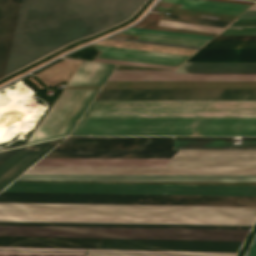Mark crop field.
Segmentation results:
<instances>
[{
  "label": "crop field",
  "instance_id": "8a807250",
  "mask_svg": "<svg viewBox=\"0 0 256 256\" xmlns=\"http://www.w3.org/2000/svg\"><path fill=\"white\" fill-rule=\"evenodd\" d=\"M95 100H256V90H101ZM251 135L256 101H93L71 135Z\"/></svg>",
  "mask_w": 256,
  "mask_h": 256
},
{
  "label": "crop field",
  "instance_id": "ac0d7876",
  "mask_svg": "<svg viewBox=\"0 0 256 256\" xmlns=\"http://www.w3.org/2000/svg\"><path fill=\"white\" fill-rule=\"evenodd\" d=\"M3 191L256 196V186L13 182ZM1 192L0 202L256 206V197ZM0 203L3 213L256 217V207Z\"/></svg>",
  "mask_w": 256,
  "mask_h": 256
},
{
  "label": "crop field",
  "instance_id": "34b2d1b8",
  "mask_svg": "<svg viewBox=\"0 0 256 256\" xmlns=\"http://www.w3.org/2000/svg\"><path fill=\"white\" fill-rule=\"evenodd\" d=\"M145 0H0V78L128 19ZM143 5V4H142Z\"/></svg>",
  "mask_w": 256,
  "mask_h": 256
},
{
  "label": "crop field",
  "instance_id": "412701ff",
  "mask_svg": "<svg viewBox=\"0 0 256 256\" xmlns=\"http://www.w3.org/2000/svg\"><path fill=\"white\" fill-rule=\"evenodd\" d=\"M175 73H256V62H185ZM108 80L256 81V74H174V70H115Z\"/></svg>",
  "mask_w": 256,
  "mask_h": 256
},
{
  "label": "crop field",
  "instance_id": "f4fd0767",
  "mask_svg": "<svg viewBox=\"0 0 256 256\" xmlns=\"http://www.w3.org/2000/svg\"><path fill=\"white\" fill-rule=\"evenodd\" d=\"M99 90H63L27 144L67 136Z\"/></svg>",
  "mask_w": 256,
  "mask_h": 256
},
{
  "label": "crop field",
  "instance_id": "dd49c442",
  "mask_svg": "<svg viewBox=\"0 0 256 256\" xmlns=\"http://www.w3.org/2000/svg\"><path fill=\"white\" fill-rule=\"evenodd\" d=\"M256 218L1 214L0 221L253 225Z\"/></svg>",
  "mask_w": 256,
  "mask_h": 256
},
{
  "label": "crop field",
  "instance_id": "e52e79f7",
  "mask_svg": "<svg viewBox=\"0 0 256 256\" xmlns=\"http://www.w3.org/2000/svg\"><path fill=\"white\" fill-rule=\"evenodd\" d=\"M24 174L256 175V168L32 167Z\"/></svg>",
  "mask_w": 256,
  "mask_h": 256
},
{
  "label": "crop field",
  "instance_id": "d8731c3e",
  "mask_svg": "<svg viewBox=\"0 0 256 256\" xmlns=\"http://www.w3.org/2000/svg\"><path fill=\"white\" fill-rule=\"evenodd\" d=\"M0 235L145 239V228L0 226Z\"/></svg>",
  "mask_w": 256,
  "mask_h": 256
},
{
  "label": "crop field",
  "instance_id": "5a996713",
  "mask_svg": "<svg viewBox=\"0 0 256 256\" xmlns=\"http://www.w3.org/2000/svg\"><path fill=\"white\" fill-rule=\"evenodd\" d=\"M242 242L101 239V249L237 253Z\"/></svg>",
  "mask_w": 256,
  "mask_h": 256
},
{
  "label": "crop field",
  "instance_id": "3316defc",
  "mask_svg": "<svg viewBox=\"0 0 256 256\" xmlns=\"http://www.w3.org/2000/svg\"><path fill=\"white\" fill-rule=\"evenodd\" d=\"M15 181L256 182V176L22 175Z\"/></svg>",
  "mask_w": 256,
  "mask_h": 256
},
{
  "label": "crop field",
  "instance_id": "28ad6ade",
  "mask_svg": "<svg viewBox=\"0 0 256 256\" xmlns=\"http://www.w3.org/2000/svg\"><path fill=\"white\" fill-rule=\"evenodd\" d=\"M164 166L256 167V151L179 150Z\"/></svg>",
  "mask_w": 256,
  "mask_h": 256
},
{
  "label": "crop field",
  "instance_id": "d1516ede",
  "mask_svg": "<svg viewBox=\"0 0 256 256\" xmlns=\"http://www.w3.org/2000/svg\"><path fill=\"white\" fill-rule=\"evenodd\" d=\"M54 149H174V137H68Z\"/></svg>",
  "mask_w": 256,
  "mask_h": 256
},
{
  "label": "crop field",
  "instance_id": "22f410ed",
  "mask_svg": "<svg viewBox=\"0 0 256 256\" xmlns=\"http://www.w3.org/2000/svg\"><path fill=\"white\" fill-rule=\"evenodd\" d=\"M249 230L146 228V239L244 241Z\"/></svg>",
  "mask_w": 256,
  "mask_h": 256
},
{
  "label": "crop field",
  "instance_id": "cbeb9de0",
  "mask_svg": "<svg viewBox=\"0 0 256 256\" xmlns=\"http://www.w3.org/2000/svg\"><path fill=\"white\" fill-rule=\"evenodd\" d=\"M64 139V138H62ZM62 139L23 147L0 166V191Z\"/></svg>",
  "mask_w": 256,
  "mask_h": 256
},
{
  "label": "crop field",
  "instance_id": "5142ce71",
  "mask_svg": "<svg viewBox=\"0 0 256 256\" xmlns=\"http://www.w3.org/2000/svg\"><path fill=\"white\" fill-rule=\"evenodd\" d=\"M178 150H52L44 158H171Z\"/></svg>",
  "mask_w": 256,
  "mask_h": 256
},
{
  "label": "crop field",
  "instance_id": "d9b57169",
  "mask_svg": "<svg viewBox=\"0 0 256 256\" xmlns=\"http://www.w3.org/2000/svg\"><path fill=\"white\" fill-rule=\"evenodd\" d=\"M0 246L100 249V239L0 236Z\"/></svg>",
  "mask_w": 256,
  "mask_h": 256
},
{
  "label": "crop field",
  "instance_id": "733c2abd",
  "mask_svg": "<svg viewBox=\"0 0 256 256\" xmlns=\"http://www.w3.org/2000/svg\"><path fill=\"white\" fill-rule=\"evenodd\" d=\"M175 149L256 150V138H242V145H233L232 137H175Z\"/></svg>",
  "mask_w": 256,
  "mask_h": 256
},
{
  "label": "crop field",
  "instance_id": "4a817a6b",
  "mask_svg": "<svg viewBox=\"0 0 256 256\" xmlns=\"http://www.w3.org/2000/svg\"><path fill=\"white\" fill-rule=\"evenodd\" d=\"M168 159H42L34 166H163Z\"/></svg>",
  "mask_w": 256,
  "mask_h": 256
},
{
  "label": "crop field",
  "instance_id": "bc2a9ffb",
  "mask_svg": "<svg viewBox=\"0 0 256 256\" xmlns=\"http://www.w3.org/2000/svg\"><path fill=\"white\" fill-rule=\"evenodd\" d=\"M187 61H256V48H201Z\"/></svg>",
  "mask_w": 256,
  "mask_h": 256
},
{
  "label": "crop field",
  "instance_id": "214f88e0",
  "mask_svg": "<svg viewBox=\"0 0 256 256\" xmlns=\"http://www.w3.org/2000/svg\"><path fill=\"white\" fill-rule=\"evenodd\" d=\"M115 67L83 61L67 85H103Z\"/></svg>",
  "mask_w": 256,
  "mask_h": 256
},
{
  "label": "crop field",
  "instance_id": "92a150f3",
  "mask_svg": "<svg viewBox=\"0 0 256 256\" xmlns=\"http://www.w3.org/2000/svg\"><path fill=\"white\" fill-rule=\"evenodd\" d=\"M95 45L103 51V52H101L103 54L141 58V59L178 63V64H182L184 61H186L189 58L187 56L149 52V51L112 47V46H105V45H97V44H95Z\"/></svg>",
  "mask_w": 256,
  "mask_h": 256
},
{
  "label": "crop field",
  "instance_id": "dafd665d",
  "mask_svg": "<svg viewBox=\"0 0 256 256\" xmlns=\"http://www.w3.org/2000/svg\"><path fill=\"white\" fill-rule=\"evenodd\" d=\"M0 249H34V250H68V251H84V249H61V248H25V247H0ZM34 250H0V251H32V252H66V253H83L85 252H68V251H34ZM87 251H101V252H131V253H161V254H191V255H221V256H235L236 254H219V253H185V252H151V251H117V250H91ZM32 252H0V253H31V254H66V253H32ZM66 255H82V254H66ZM86 255H104V256H160V255H131V254H101V253H87ZM190 255V256H191Z\"/></svg>",
  "mask_w": 256,
  "mask_h": 256
},
{
  "label": "crop field",
  "instance_id": "00972430",
  "mask_svg": "<svg viewBox=\"0 0 256 256\" xmlns=\"http://www.w3.org/2000/svg\"><path fill=\"white\" fill-rule=\"evenodd\" d=\"M161 20L174 21V22H183V23H193V24H202V25H211V26H220V27H225L229 24L228 22L212 21V20L189 18V17L166 15V14L162 15ZM165 21H160L159 26L171 27V28H180V29H189V30H197V31H206V32H214V33H219L223 29V28H220V27L192 25V24L165 22Z\"/></svg>",
  "mask_w": 256,
  "mask_h": 256
},
{
  "label": "crop field",
  "instance_id": "a9b5d70f",
  "mask_svg": "<svg viewBox=\"0 0 256 256\" xmlns=\"http://www.w3.org/2000/svg\"><path fill=\"white\" fill-rule=\"evenodd\" d=\"M161 1L183 4L181 8H184V9L210 11V12L227 13V14H235V15H240L250 7L247 5L212 2V1H204V0H161Z\"/></svg>",
  "mask_w": 256,
  "mask_h": 256
},
{
  "label": "crop field",
  "instance_id": "4177f3b9",
  "mask_svg": "<svg viewBox=\"0 0 256 256\" xmlns=\"http://www.w3.org/2000/svg\"><path fill=\"white\" fill-rule=\"evenodd\" d=\"M0 225L172 227V228H224V229H250V228H251V226H216V225L79 224V223H7V222H0Z\"/></svg>",
  "mask_w": 256,
  "mask_h": 256
},
{
  "label": "crop field",
  "instance_id": "730fd06b",
  "mask_svg": "<svg viewBox=\"0 0 256 256\" xmlns=\"http://www.w3.org/2000/svg\"><path fill=\"white\" fill-rule=\"evenodd\" d=\"M122 33H129V34L139 35V37H138L139 39L162 41V42H171V43H180V44H188V45H197V46H202L206 42H208L206 40L190 39V38L167 36V35L152 34V33L137 32V31H129V30H124V31H122Z\"/></svg>",
  "mask_w": 256,
  "mask_h": 256
},
{
  "label": "crop field",
  "instance_id": "eef30255",
  "mask_svg": "<svg viewBox=\"0 0 256 256\" xmlns=\"http://www.w3.org/2000/svg\"><path fill=\"white\" fill-rule=\"evenodd\" d=\"M219 35H256V19H236Z\"/></svg>",
  "mask_w": 256,
  "mask_h": 256
},
{
  "label": "crop field",
  "instance_id": "ae1a2a85",
  "mask_svg": "<svg viewBox=\"0 0 256 256\" xmlns=\"http://www.w3.org/2000/svg\"><path fill=\"white\" fill-rule=\"evenodd\" d=\"M204 47H256V41H210Z\"/></svg>",
  "mask_w": 256,
  "mask_h": 256
},
{
  "label": "crop field",
  "instance_id": "d3111659",
  "mask_svg": "<svg viewBox=\"0 0 256 256\" xmlns=\"http://www.w3.org/2000/svg\"><path fill=\"white\" fill-rule=\"evenodd\" d=\"M129 30L145 31V32L168 34V35L183 36V37L198 38V39H206V40H210L212 38V37H209V36L169 32V31H161V30H153V29H145V28H137V27H132Z\"/></svg>",
  "mask_w": 256,
  "mask_h": 256
},
{
  "label": "crop field",
  "instance_id": "750c4746",
  "mask_svg": "<svg viewBox=\"0 0 256 256\" xmlns=\"http://www.w3.org/2000/svg\"><path fill=\"white\" fill-rule=\"evenodd\" d=\"M96 61L109 62V63H119V64H128V65H138V66H147V67H157V68H167V69H176L177 68V67H174V66H165V65H156V64H147V63H138V62H129V61L102 59V58H97Z\"/></svg>",
  "mask_w": 256,
  "mask_h": 256
},
{
  "label": "crop field",
  "instance_id": "bd1437ed",
  "mask_svg": "<svg viewBox=\"0 0 256 256\" xmlns=\"http://www.w3.org/2000/svg\"><path fill=\"white\" fill-rule=\"evenodd\" d=\"M99 57H103V58H114V59H124V60H132V61H141V62H149V63H157V64H166V65L179 66L178 64H170V63H163V62H155V61H148V60H140V59L126 58V57H118V56H111V55H103V54H100Z\"/></svg>",
  "mask_w": 256,
  "mask_h": 256
},
{
  "label": "crop field",
  "instance_id": "1d83c4d3",
  "mask_svg": "<svg viewBox=\"0 0 256 256\" xmlns=\"http://www.w3.org/2000/svg\"><path fill=\"white\" fill-rule=\"evenodd\" d=\"M213 40H256V36H217Z\"/></svg>",
  "mask_w": 256,
  "mask_h": 256
},
{
  "label": "crop field",
  "instance_id": "120bbe31",
  "mask_svg": "<svg viewBox=\"0 0 256 256\" xmlns=\"http://www.w3.org/2000/svg\"><path fill=\"white\" fill-rule=\"evenodd\" d=\"M22 148V147H21ZM20 148L10 149L0 151V165L6 161L9 157H11L15 152H17Z\"/></svg>",
  "mask_w": 256,
  "mask_h": 256
},
{
  "label": "crop field",
  "instance_id": "d32e631a",
  "mask_svg": "<svg viewBox=\"0 0 256 256\" xmlns=\"http://www.w3.org/2000/svg\"><path fill=\"white\" fill-rule=\"evenodd\" d=\"M245 256H256V238L253 241L252 245L250 246Z\"/></svg>",
  "mask_w": 256,
  "mask_h": 256
},
{
  "label": "crop field",
  "instance_id": "5866460e",
  "mask_svg": "<svg viewBox=\"0 0 256 256\" xmlns=\"http://www.w3.org/2000/svg\"><path fill=\"white\" fill-rule=\"evenodd\" d=\"M0 256H65V255L0 254Z\"/></svg>",
  "mask_w": 256,
  "mask_h": 256
},
{
  "label": "crop field",
  "instance_id": "028f5c9d",
  "mask_svg": "<svg viewBox=\"0 0 256 256\" xmlns=\"http://www.w3.org/2000/svg\"><path fill=\"white\" fill-rule=\"evenodd\" d=\"M239 18H256V11H246L245 14L241 15Z\"/></svg>",
  "mask_w": 256,
  "mask_h": 256
},
{
  "label": "crop field",
  "instance_id": "e1f06a70",
  "mask_svg": "<svg viewBox=\"0 0 256 256\" xmlns=\"http://www.w3.org/2000/svg\"><path fill=\"white\" fill-rule=\"evenodd\" d=\"M248 10H256V3L251 8H249Z\"/></svg>",
  "mask_w": 256,
  "mask_h": 256
}]
</instances>
